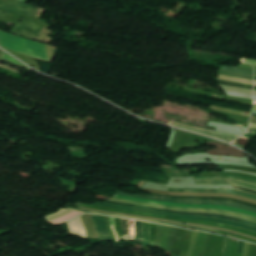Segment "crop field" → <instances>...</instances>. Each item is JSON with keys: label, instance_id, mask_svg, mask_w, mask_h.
<instances>
[{"label": "crop field", "instance_id": "obj_22", "mask_svg": "<svg viewBox=\"0 0 256 256\" xmlns=\"http://www.w3.org/2000/svg\"><path fill=\"white\" fill-rule=\"evenodd\" d=\"M3 59L9 61L10 63H12V64H14V65H16V66H18V67L30 69V68H28L27 66L23 65L22 63L18 62L17 60L13 59L12 57H10V56H9L8 54H6L5 52H4V54H3Z\"/></svg>", "mask_w": 256, "mask_h": 256}, {"label": "crop field", "instance_id": "obj_20", "mask_svg": "<svg viewBox=\"0 0 256 256\" xmlns=\"http://www.w3.org/2000/svg\"><path fill=\"white\" fill-rule=\"evenodd\" d=\"M136 240L143 241L142 222L135 221Z\"/></svg>", "mask_w": 256, "mask_h": 256}, {"label": "crop field", "instance_id": "obj_32", "mask_svg": "<svg viewBox=\"0 0 256 256\" xmlns=\"http://www.w3.org/2000/svg\"><path fill=\"white\" fill-rule=\"evenodd\" d=\"M112 229H113V227H112ZM113 231H114V229H113ZM114 233H115V235H116V238H117V240H118V237H117V234H116V232L114 231ZM119 241V240H118Z\"/></svg>", "mask_w": 256, "mask_h": 256}, {"label": "crop field", "instance_id": "obj_6", "mask_svg": "<svg viewBox=\"0 0 256 256\" xmlns=\"http://www.w3.org/2000/svg\"><path fill=\"white\" fill-rule=\"evenodd\" d=\"M0 10L8 12V13H20V14L32 15L37 18H39V16L43 12V9L28 6L20 1L1 3Z\"/></svg>", "mask_w": 256, "mask_h": 256}, {"label": "crop field", "instance_id": "obj_5", "mask_svg": "<svg viewBox=\"0 0 256 256\" xmlns=\"http://www.w3.org/2000/svg\"><path fill=\"white\" fill-rule=\"evenodd\" d=\"M114 201H120V202H126V203H134V204H139L143 206H148V207H155V208H161V209H170V210H178V211H185V212H210V213H219V214H226V215H231L239 218H244L252 221H256V218L250 217V216H245L241 214H236L228 211H223V210H208V209H184V208H174V207H165V206H159V205H153V204H148V203H141V202H135V201H128V200H122V199H116L112 198Z\"/></svg>", "mask_w": 256, "mask_h": 256}, {"label": "crop field", "instance_id": "obj_31", "mask_svg": "<svg viewBox=\"0 0 256 256\" xmlns=\"http://www.w3.org/2000/svg\"><path fill=\"white\" fill-rule=\"evenodd\" d=\"M251 122H256V118H252V119H251Z\"/></svg>", "mask_w": 256, "mask_h": 256}, {"label": "crop field", "instance_id": "obj_24", "mask_svg": "<svg viewBox=\"0 0 256 256\" xmlns=\"http://www.w3.org/2000/svg\"><path fill=\"white\" fill-rule=\"evenodd\" d=\"M157 225L150 223V244H154Z\"/></svg>", "mask_w": 256, "mask_h": 256}, {"label": "crop field", "instance_id": "obj_10", "mask_svg": "<svg viewBox=\"0 0 256 256\" xmlns=\"http://www.w3.org/2000/svg\"><path fill=\"white\" fill-rule=\"evenodd\" d=\"M170 126H174V127H178V128H182V129H186V130H190V131L210 135V136L216 137L218 139H221V140H224V141H227V142H229V141L235 139L236 137H238L237 135H230V134L200 130V129H197V128H193V127H190V126H186V125H182V124H178V123H174V122H171Z\"/></svg>", "mask_w": 256, "mask_h": 256}, {"label": "crop field", "instance_id": "obj_33", "mask_svg": "<svg viewBox=\"0 0 256 256\" xmlns=\"http://www.w3.org/2000/svg\"><path fill=\"white\" fill-rule=\"evenodd\" d=\"M252 117H256V114H255V113H253Z\"/></svg>", "mask_w": 256, "mask_h": 256}, {"label": "crop field", "instance_id": "obj_36", "mask_svg": "<svg viewBox=\"0 0 256 256\" xmlns=\"http://www.w3.org/2000/svg\"><path fill=\"white\" fill-rule=\"evenodd\" d=\"M20 1H24V2H26V0H20Z\"/></svg>", "mask_w": 256, "mask_h": 256}, {"label": "crop field", "instance_id": "obj_4", "mask_svg": "<svg viewBox=\"0 0 256 256\" xmlns=\"http://www.w3.org/2000/svg\"><path fill=\"white\" fill-rule=\"evenodd\" d=\"M107 204H115V205H123V206H130V207H136V208H142V209H148V210H154V211H160V212H167V213H175V214H183V215H193V216H208V217H214V218H222V219H227L251 226H256L255 222L231 217V216H226V215H218V214H210V213H184V212H177V211H169V210H161V209H154V208H148V207H142L138 205H130V204H121V203H115V202H110L107 201L105 202Z\"/></svg>", "mask_w": 256, "mask_h": 256}, {"label": "crop field", "instance_id": "obj_29", "mask_svg": "<svg viewBox=\"0 0 256 256\" xmlns=\"http://www.w3.org/2000/svg\"><path fill=\"white\" fill-rule=\"evenodd\" d=\"M233 187L235 188V190H238V191H243V192H248V193L256 194V191L244 189V188L237 187V186H233Z\"/></svg>", "mask_w": 256, "mask_h": 256}, {"label": "crop field", "instance_id": "obj_16", "mask_svg": "<svg viewBox=\"0 0 256 256\" xmlns=\"http://www.w3.org/2000/svg\"><path fill=\"white\" fill-rule=\"evenodd\" d=\"M69 209H71V208H69ZM73 210H79V209H73ZM79 211H85V210H79ZM86 212H91V211H86ZM93 213H96V212H93ZM100 214H102V213H100ZM108 215H110V214H108ZM114 216H117V215H114ZM120 217H125V216H120ZM128 218H132V217H128ZM136 219H138V218H136ZM142 220H144V219H142ZM148 221H152V220H148ZM154 222H160V221H154ZM160 223L182 226V225L173 224V223H167V222H160ZM183 227H188V228H194V229H199V230L219 233V231H216V230H209V229H204V228H200V227H191V226H183Z\"/></svg>", "mask_w": 256, "mask_h": 256}, {"label": "crop field", "instance_id": "obj_1", "mask_svg": "<svg viewBox=\"0 0 256 256\" xmlns=\"http://www.w3.org/2000/svg\"><path fill=\"white\" fill-rule=\"evenodd\" d=\"M0 45L21 54L48 61L47 51L44 44L18 38L0 31Z\"/></svg>", "mask_w": 256, "mask_h": 256}, {"label": "crop field", "instance_id": "obj_13", "mask_svg": "<svg viewBox=\"0 0 256 256\" xmlns=\"http://www.w3.org/2000/svg\"><path fill=\"white\" fill-rule=\"evenodd\" d=\"M169 191H174V192L229 193V194L240 195V196H244V197H249V198L256 199V196H255V195L246 194V193L237 192V191H231V190H189V189H169Z\"/></svg>", "mask_w": 256, "mask_h": 256}, {"label": "crop field", "instance_id": "obj_28", "mask_svg": "<svg viewBox=\"0 0 256 256\" xmlns=\"http://www.w3.org/2000/svg\"><path fill=\"white\" fill-rule=\"evenodd\" d=\"M144 241L149 242V223L143 222Z\"/></svg>", "mask_w": 256, "mask_h": 256}, {"label": "crop field", "instance_id": "obj_12", "mask_svg": "<svg viewBox=\"0 0 256 256\" xmlns=\"http://www.w3.org/2000/svg\"><path fill=\"white\" fill-rule=\"evenodd\" d=\"M153 197H160V198H167V199H182V200H220V201H228V202H234L250 207L256 208L255 204L247 203L244 201L236 200V199H225V198H201V197H175V196H164V195H156L153 194Z\"/></svg>", "mask_w": 256, "mask_h": 256}, {"label": "crop field", "instance_id": "obj_21", "mask_svg": "<svg viewBox=\"0 0 256 256\" xmlns=\"http://www.w3.org/2000/svg\"><path fill=\"white\" fill-rule=\"evenodd\" d=\"M219 74L236 76V77H241V78H246V79L253 80V76H251V75L240 74V73H235V72H228V71H221V70H219Z\"/></svg>", "mask_w": 256, "mask_h": 256}, {"label": "crop field", "instance_id": "obj_25", "mask_svg": "<svg viewBox=\"0 0 256 256\" xmlns=\"http://www.w3.org/2000/svg\"><path fill=\"white\" fill-rule=\"evenodd\" d=\"M231 241V238L226 237L223 256H229Z\"/></svg>", "mask_w": 256, "mask_h": 256}, {"label": "crop field", "instance_id": "obj_2", "mask_svg": "<svg viewBox=\"0 0 256 256\" xmlns=\"http://www.w3.org/2000/svg\"><path fill=\"white\" fill-rule=\"evenodd\" d=\"M81 206L89 207V208H95V209H100V210H105V211H109V212L126 213V214H134V215H141V216H148V217L170 219V220H176V221H182V222H192V223L207 224V225H212V226L223 227V228L235 230V231L242 232V233L249 234V235H252V236L256 237V233L255 232H251V231H248V230H244V229H240V228H236V227H232V226L221 225V224H217V223H213V222L200 221V220H188V219L169 218V217L156 216V215L144 214V213L133 212V211H126V210H119V209L105 208V207H97V206H90V205H84V204H82Z\"/></svg>", "mask_w": 256, "mask_h": 256}, {"label": "crop field", "instance_id": "obj_3", "mask_svg": "<svg viewBox=\"0 0 256 256\" xmlns=\"http://www.w3.org/2000/svg\"><path fill=\"white\" fill-rule=\"evenodd\" d=\"M96 205L97 206L120 208V209H127V210H133V211H139V212H145V213H151V214H157V215H163V216L177 217V218H189V219H200V220L213 221V222L232 225V226H236V227H240V228H244V229H248V230L256 232V227L246 226V225H242V224H238V223H235V222L222 220V219H214V218H206V217H192V216H178V215L152 212V211H146V210H140V209H134V208H128V207H122V206H115V205H107V204H101V203H98Z\"/></svg>", "mask_w": 256, "mask_h": 256}, {"label": "crop field", "instance_id": "obj_14", "mask_svg": "<svg viewBox=\"0 0 256 256\" xmlns=\"http://www.w3.org/2000/svg\"><path fill=\"white\" fill-rule=\"evenodd\" d=\"M197 184H233V185H240L243 187L251 188L256 190V186L254 185H249V184H244L240 182H235L231 180H219V181H196Z\"/></svg>", "mask_w": 256, "mask_h": 256}, {"label": "crop field", "instance_id": "obj_18", "mask_svg": "<svg viewBox=\"0 0 256 256\" xmlns=\"http://www.w3.org/2000/svg\"><path fill=\"white\" fill-rule=\"evenodd\" d=\"M82 213L83 212L74 211V212H72V213H70L68 215H65V216H63V217H61V218H59V219H57V220H55V221H53L51 223H53V224H60V223H63V222H65V221H67V220H69V219H71V218H73V217H75V216H77L79 214H82Z\"/></svg>", "mask_w": 256, "mask_h": 256}, {"label": "crop field", "instance_id": "obj_17", "mask_svg": "<svg viewBox=\"0 0 256 256\" xmlns=\"http://www.w3.org/2000/svg\"><path fill=\"white\" fill-rule=\"evenodd\" d=\"M219 82L222 85H228V86H233V87H238V88H244V89H250V90H252V88H253V86H251V85H246V84H241V83H236V82L222 81V80H219Z\"/></svg>", "mask_w": 256, "mask_h": 256}, {"label": "crop field", "instance_id": "obj_15", "mask_svg": "<svg viewBox=\"0 0 256 256\" xmlns=\"http://www.w3.org/2000/svg\"><path fill=\"white\" fill-rule=\"evenodd\" d=\"M196 180H216V179H236L241 181H246L250 183L256 184V181L244 179L241 177H233V176H220V177H195Z\"/></svg>", "mask_w": 256, "mask_h": 256}, {"label": "crop field", "instance_id": "obj_38", "mask_svg": "<svg viewBox=\"0 0 256 256\" xmlns=\"http://www.w3.org/2000/svg\"><path fill=\"white\" fill-rule=\"evenodd\" d=\"M255 85H256V81H255Z\"/></svg>", "mask_w": 256, "mask_h": 256}, {"label": "crop field", "instance_id": "obj_34", "mask_svg": "<svg viewBox=\"0 0 256 256\" xmlns=\"http://www.w3.org/2000/svg\"><path fill=\"white\" fill-rule=\"evenodd\" d=\"M0 15L3 16V15H5V13H1V12H0Z\"/></svg>", "mask_w": 256, "mask_h": 256}, {"label": "crop field", "instance_id": "obj_26", "mask_svg": "<svg viewBox=\"0 0 256 256\" xmlns=\"http://www.w3.org/2000/svg\"><path fill=\"white\" fill-rule=\"evenodd\" d=\"M70 212H72V210H65V209H63V210L60 211L59 213H57V214H55V215H52V216H49V217H48V222H50V221H52V220H54V219H56V218H58V217H60V216H63V215H65V214H67V213H70Z\"/></svg>", "mask_w": 256, "mask_h": 256}, {"label": "crop field", "instance_id": "obj_37", "mask_svg": "<svg viewBox=\"0 0 256 256\" xmlns=\"http://www.w3.org/2000/svg\"><path fill=\"white\" fill-rule=\"evenodd\" d=\"M254 90H256V86H255Z\"/></svg>", "mask_w": 256, "mask_h": 256}, {"label": "crop field", "instance_id": "obj_23", "mask_svg": "<svg viewBox=\"0 0 256 256\" xmlns=\"http://www.w3.org/2000/svg\"><path fill=\"white\" fill-rule=\"evenodd\" d=\"M120 220H121V224H122V227H123V231H124V235H125V240L126 241H130L127 220L121 219V218H120Z\"/></svg>", "mask_w": 256, "mask_h": 256}, {"label": "crop field", "instance_id": "obj_9", "mask_svg": "<svg viewBox=\"0 0 256 256\" xmlns=\"http://www.w3.org/2000/svg\"><path fill=\"white\" fill-rule=\"evenodd\" d=\"M42 28L43 26L31 22H23L16 27L13 33L40 40L39 32Z\"/></svg>", "mask_w": 256, "mask_h": 256}, {"label": "crop field", "instance_id": "obj_8", "mask_svg": "<svg viewBox=\"0 0 256 256\" xmlns=\"http://www.w3.org/2000/svg\"><path fill=\"white\" fill-rule=\"evenodd\" d=\"M119 195H125V196H131V197H137V198H143V199H152V200H158V201H167V202H176V203H183V204H210V205H226L234 208H239L243 210H248L252 212H256V209L237 205L233 203H227V202H219V201H179V200H164V199H157L152 197H146V196H138V195H132V194H124L119 193Z\"/></svg>", "mask_w": 256, "mask_h": 256}, {"label": "crop field", "instance_id": "obj_19", "mask_svg": "<svg viewBox=\"0 0 256 256\" xmlns=\"http://www.w3.org/2000/svg\"><path fill=\"white\" fill-rule=\"evenodd\" d=\"M219 79H222V80H230V81H236V82H241V83H246V84H251V85H253V81H251V80H246V79H241V78H235V77H230V76L219 75Z\"/></svg>", "mask_w": 256, "mask_h": 256}, {"label": "crop field", "instance_id": "obj_11", "mask_svg": "<svg viewBox=\"0 0 256 256\" xmlns=\"http://www.w3.org/2000/svg\"><path fill=\"white\" fill-rule=\"evenodd\" d=\"M94 221V224L97 229V233L101 241H110L113 240L111 234L106 226L105 218L98 215H91Z\"/></svg>", "mask_w": 256, "mask_h": 256}, {"label": "crop field", "instance_id": "obj_35", "mask_svg": "<svg viewBox=\"0 0 256 256\" xmlns=\"http://www.w3.org/2000/svg\"><path fill=\"white\" fill-rule=\"evenodd\" d=\"M249 130H254V131H256V129H249Z\"/></svg>", "mask_w": 256, "mask_h": 256}, {"label": "crop field", "instance_id": "obj_27", "mask_svg": "<svg viewBox=\"0 0 256 256\" xmlns=\"http://www.w3.org/2000/svg\"><path fill=\"white\" fill-rule=\"evenodd\" d=\"M114 221H115L116 229H117V232H118V234L120 236V239L123 240L124 239V235H123V231H122V228H121L120 220L114 218Z\"/></svg>", "mask_w": 256, "mask_h": 256}, {"label": "crop field", "instance_id": "obj_30", "mask_svg": "<svg viewBox=\"0 0 256 256\" xmlns=\"http://www.w3.org/2000/svg\"><path fill=\"white\" fill-rule=\"evenodd\" d=\"M243 244H244V242H242V241L239 242L237 253H242Z\"/></svg>", "mask_w": 256, "mask_h": 256}, {"label": "crop field", "instance_id": "obj_7", "mask_svg": "<svg viewBox=\"0 0 256 256\" xmlns=\"http://www.w3.org/2000/svg\"><path fill=\"white\" fill-rule=\"evenodd\" d=\"M118 198H124L129 200H135V201H142V202H148V203H154V204H160V205H166V206H175V207H185V208H208V209H223V210H229L237 213H242L250 216L256 217L255 213L234 209L226 206H209V205H183V204H174V203H164V202H156V201H149V200H142V199H135V198H128V197H121L116 196Z\"/></svg>", "mask_w": 256, "mask_h": 256}]
</instances>
